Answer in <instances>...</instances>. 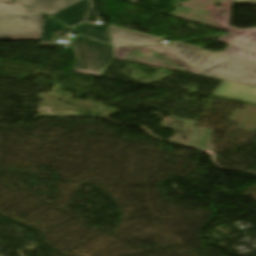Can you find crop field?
Wrapping results in <instances>:
<instances>
[{
    "label": "crop field",
    "mask_w": 256,
    "mask_h": 256,
    "mask_svg": "<svg viewBox=\"0 0 256 256\" xmlns=\"http://www.w3.org/2000/svg\"><path fill=\"white\" fill-rule=\"evenodd\" d=\"M47 16L79 0H14Z\"/></svg>",
    "instance_id": "crop-field-8"
},
{
    "label": "crop field",
    "mask_w": 256,
    "mask_h": 256,
    "mask_svg": "<svg viewBox=\"0 0 256 256\" xmlns=\"http://www.w3.org/2000/svg\"><path fill=\"white\" fill-rule=\"evenodd\" d=\"M72 30L80 35L111 45L108 27H96L83 22L73 27Z\"/></svg>",
    "instance_id": "crop-field-11"
},
{
    "label": "crop field",
    "mask_w": 256,
    "mask_h": 256,
    "mask_svg": "<svg viewBox=\"0 0 256 256\" xmlns=\"http://www.w3.org/2000/svg\"><path fill=\"white\" fill-rule=\"evenodd\" d=\"M43 16L11 0L0 3V40L39 39Z\"/></svg>",
    "instance_id": "crop-field-2"
},
{
    "label": "crop field",
    "mask_w": 256,
    "mask_h": 256,
    "mask_svg": "<svg viewBox=\"0 0 256 256\" xmlns=\"http://www.w3.org/2000/svg\"><path fill=\"white\" fill-rule=\"evenodd\" d=\"M214 95L256 103V87L223 80Z\"/></svg>",
    "instance_id": "crop-field-6"
},
{
    "label": "crop field",
    "mask_w": 256,
    "mask_h": 256,
    "mask_svg": "<svg viewBox=\"0 0 256 256\" xmlns=\"http://www.w3.org/2000/svg\"><path fill=\"white\" fill-rule=\"evenodd\" d=\"M205 75L256 84V62L177 42L163 44Z\"/></svg>",
    "instance_id": "crop-field-1"
},
{
    "label": "crop field",
    "mask_w": 256,
    "mask_h": 256,
    "mask_svg": "<svg viewBox=\"0 0 256 256\" xmlns=\"http://www.w3.org/2000/svg\"><path fill=\"white\" fill-rule=\"evenodd\" d=\"M73 44L80 64V67L74 69L73 72L101 76L113 60L110 46L80 35Z\"/></svg>",
    "instance_id": "crop-field-3"
},
{
    "label": "crop field",
    "mask_w": 256,
    "mask_h": 256,
    "mask_svg": "<svg viewBox=\"0 0 256 256\" xmlns=\"http://www.w3.org/2000/svg\"><path fill=\"white\" fill-rule=\"evenodd\" d=\"M90 3L89 0H82L50 17H53L67 27H70L82 20H84L90 13Z\"/></svg>",
    "instance_id": "crop-field-7"
},
{
    "label": "crop field",
    "mask_w": 256,
    "mask_h": 256,
    "mask_svg": "<svg viewBox=\"0 0 256 256\" xmlns=\"http://www.w3.org/2000/svg\"><path fill=\"white\" fill-rule=\"evenodd\" d=\"M140 49H155L161 54H163L164 56H166L167 58H169L170 60H172L173 62H175L176 64H178L179 66H181L182 68H184L185 70H187L188 72L194 73V74H200L199 72L191 68L189 65L181 61L179 58L171 54L169 51H167L163 47L140 46V47L114 48L116 58L123 59V60H125L124 55L129 53V50H140Z\"/></svg>",
    "instance_id": "crop-field-10"
},
{
    "label": "crop field",
    "mask_w": 256,
    "mask_h": 256,
    "mask_svg": "<svg viewBox=\"0 0 256 256\" xmlns=\"http://www.w3.org/2000/svg\"><path fill=\"white\" fill-rule=\"evenodd\" d=\"M112 29V34H113V40H114V46H119V45H130V44H158L160 45L159 39L142 35V34H137L117 28Z\"/></svg>",
    "instance_id": "crop-field-9"
},
{
    "label": "crop field",
    "mask_w": 256,
    "mask_h": 256,
    "mask_svg": "<svg viewBox=\"0 0 256 256\" xmlns=\"http://www.w3.org/2000/svg\"><path fill=\"white\" fill-rule=\"evenodd\" d=\"M67 28L57 21L47 17L44 19L43 31L40 38L39 46H57L52 42L54 31L66 30Z\"/></svg>",
    "instance_id": "crop-field-12"
},
{
    "label": "crop field",
    "mask_w": 256,
    "mask_h": 256,
    "mask_svg": "<svg viewBox=\"0 0 256 256\" xmlns=\"http://www.w3.org/2000/svg\"><path fill=\"white\" fill-rule=\"evenodd\" d=\"M218 41L230 45L223 53L256 61V40L226 34Z\"/></svg>",
    "instance_id": "crop-field-5"
},
{
    "label": "crop field",
    "mask_w": 256,
    "mask_h": 256,
    "mask_svg": "<svg viewBox=\"0 0 256 256\" xmlns=\"http://www.w3.org/2000/svg\"><path fill=\"white\" fill-rule=\"evenodd\" d=\"M233 3L256 4V0H225L217 3L221 4L219 8L215 7L216 4L209 7V11L218 28L236 35L256 39V28L238 29L230 26V7ZM222 12H224V14H222Z\"/></svg>",
    "instance_id": "crop-field-4"
}]
</instances>
